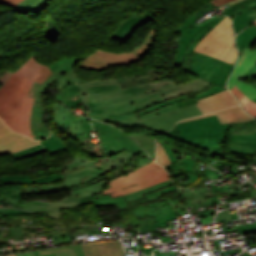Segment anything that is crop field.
I'll use <instances>...</instances> for the list:
<instances>
[{
	"label": "crop field",
	"instance_id": "0bd39190",
	"mask_svg": "<svg viewBox=\"0 0 256 256\" xmlns=\"http://www.w3.org/2000/svg\"><path fill=\"white\" fill-rule=\"evenodd\" d=\"M130 135L133 136L138 143L149 152L153 159L155 158V142L153 138L149 137V135L145 133H134Z\"/></svg>",
	"mask_w": 256,
	"mask_h": 256
},
{
	"label": "crop field",
	"instance_id": "d32e631a",
	"mask_svg": "<svg viewBox=\"0 0 256 256\" xmlns=\"http://www.w3.org/2000/svg\"><path fill=\"white\" fill-rule=\"evenodd\" d=\"M77 233H78L77 235L85 234V233H88V235H91V234L101 233V231H100V228H92V229H80V230H77ZM51 236L55 245L72 242V239L76 238L75 235H71L72 238H67V234H65V232L51 233Z\"/></svg>",
	"mask_w": 256,
	"mask_h": 256
},
{
	"label": "crop field",
	"instance_id": "1d79db26",
	"mask_svg": "<svg viewBox=\"0 0 256 256\" xmlns=\"http://www.w3.org/2000/svg\"><path fill=\"white\" fill-rule=\"evenodd\" d=\"M12 236L16 237L17 241L23 240L22 228L17 226H9Z\"/></svg>",
	"mask_w": 256,
	"mask_h": 256
},
{
	"label": "crop field",
	"instance_id": "cbeb9de0",
	"mask_svg": "<svg viewBox=\"0 0 256 256\" xmlns=\"http://www.w3.org/2000/svg\"><path fill=\"white\" fill-rule=\"evenodd\" d=\"M53 114L59 131L66 133L74 140L84 138L79 117L74 115L72 111L57 103L54 105Z\"/></svg>",
	"mask_w": 256,
	"mask_h": 256
},
{
	"label": "crop field",
	"instance_id": "28ad6ade",
	"mask_svg": "<svg viewBox=\"0 0 256 256\" xmlns=\"http://www.w3.org/2000/svg\"><path fill=\"white\" fill-rule=\"evenodd\" d=\"M200 114L201 112L194 104L181 109H176L160 115L149 117L141 120V123L144 127L153 132H162L172 129L173 125L179 120Z\"/></svg>",
	"mask_w": 256,
	"mask_h": 256
},
{
	"label": "crop field",
	"instance_id": "00972430",
	"mask_svg": "<svg viewBox=\"0 0 256 256\" xmlns=\"http://www.w3.org/2000/svg\"><path fill=\"white\" fill-rule=\"evenodd\" d=\"M80 121H81L85 139L76 140V141H78L81 148L84 150L86 154L91 156H96V157L106 156L102 148L100 147L99 143L98 142L94 143L93 141H91V139H89V136H91L89 131H93V130L90 126L88 118L80 117Z\"/></svg>",
	"mask_w": 256,
	"mask_h": 256
},
{
	"label": "crop field",
	"instance_id": "fb207236",
	"mask_svg": "<svg viewBox=\"0 0 256 256\" xmlns=\"http://www.w3.org/2000/svg\"><path fill=\"white\" fill-rule=\"evenodd\" d=\"M8 256H16L15 254H13V255H8Z\"/></svg>",
	"mask_w": 256,
	"mask_h": 256
},
{
	"label": "crop field",
	"instance_id": "89e229c0",
	"mask_svg": "<svg viewBox=\"0 0 256 256\" xmlns=\"http://www.w3.org/2000/svg\"><path fill=\"white\" fill-rule=\"evenodd\" d=\"M198 55L199 53L193 51H189V53L186 52L181 68L189 70Z\"/></svg>",
	"mask_w": 256,
	"mask_h": 256
},
{
	"label": "crop field",
	"instance_id": "d14b1444",
	"mask_svg": "<svg viewBox=\"0 0 256 256\" xmlns=\"http://www.w3.org/2000/svg\"><path fill=\"white\" fill-rule=\"evenodd\" d=\"M41 146H42V145L39 144V145H37V146H35V147H31V148L24 149V150H21V151H19V152H16V153H14V154H12V155H13V156H16V155L21 154V153H23V152H25V151H28V150H31V149H35V148H38V147H41Z\"/></svg>",
	"mask_w": 256,
	"mask_h": 256
},
{
	"label": "crop field",
	"instance_id": "0fb4a251",
	"mask_svg": "<svg viewBox=\"0 0 256 256\" xmlns=\"http://www.w3.org/2000/svg\"><path fill=\"white\" fill-rule=\"evenodd\" d=\"M236 228H237L238 234L248 233V232H256V223L255 224L244 225V226H238Z\"/></svg>",
	"mask_w": 256,
	"mask_h": 256
},
{
	"label": "crop field",
	"instance_id": "750c4746",
	"mask_svg": "<svg viewBox=\"0 0 256 256\" xmlns=\"http://www.w3.org/2000/svg\"><path fill=\"white\" fill-rule=\"evenodd\" d=\"M174 139L178 141H183L187 144L205 147V149L213 151L215 153L220 152L219 145L224 140V138H192V139L174 138Z\"/></svg>",
	"mask_w": 256,
	"mask_h": 256
},
{
	"label": "crop field",
	"instance_id": "d1516ede",
	"mask_svg": "<svg viewBox=\"0 0 256 256\" xmlns=\"http://www.w3.org/2000/svg\"><path fill=\"white\" fill-rule=\"evenodd\" d=\"M256 62V49H251L243 47L242 55L239 57L235 64V70L228 80V88L235 85L239 90H241L249 99H256V88L252 85L239 81V79L244 76L247 71Z\"/></svg>",
	"mask_w": 256,
	"mask_h": 256
},
{
	"label": "crop field",
	"instance_id": "0f1d7ab4",
	"mask_svg": "<svg viewBox=\"0 0 256 256\" xmlns=\"http://www.w3.org/2000/svg\"><path fill=\"white\" fill-rule=\"evenodd\" d=\"M221 240H225V239L214 240V242L216 243V245H217V247H218V249H219L221 255H226V254H229V253H231V252L234 251V250H232V251L222 252V250H221V248H220L221 245H220L219 242H218V241H221ZM234 252H235V251H234ZM237 254H238V253H237Z\"/></svg>",
	"mask_w": 256,
	"mask_h": 256
},
{
	"label": "crop field",
	"instance_id": "028f5c9d",
	"mask_svg": "<svg viewBox=\"0 0 256 256\" xmlns=\"http://www.w3.org/2000/svg\"><path fill=\"white\" fill-rule=\"evenodd\" d=\"M169 185H172L169 180L164 181V182H162L158 185H154V186L142 189L140 191H137V192H134V193H131V194L123 195V197L125 198V200L128 203L133 202V201H137V200H140V199L144 198L143 194L150 193V192H153V191H157L160 188H163V187H166V186H169Z\"/></svg>",
	"mask_w": 256,
	"mask_h": 256
},
{
	"label": "crop field",
	"instance_id": "d3111659",
	"mask_svg": "<svg viewBox=\"0 0 256 256\" xmlns=\"http://www.w3.org/2000/svg\"><path fill=\"white\" fill-rule=\"evenodd\" d=\"M39 256H85L82 245L37 251Z\"/></svg>",
	"mask_w": 256,
	"mask_h": 256
},
{
	"label": "crop field",
	"instance_id": "1f2cbd36",
	"mask_svg": "<svg viewBox=\"0 0 256 256\" xmlns=\"http://www.w3.org/2000/svg\"><path fill=\"white\" fill-rule=\"evenodd\" d=\"M157 162H159L161 165L165 166L170 163L163 147L160 145L159 142H157Z\"/></svg>",
	"mask_w": 256,
	"mask_h": 256
},
{
	"label": "crop field",
	"instance_id": "4a817a6b",
	"mask_svg": "<svg viewBox=\"0 0 256 256\" xmlns=\"http://www.w3.org/2000/svg\"><path fill=\"white\" fill-rule=\"evenodd\" d=\"M198 102L197 106L202 114L238 104L234 97L226 90L215 95L202 98L198 100Z\"/></svg>",
	"mask_w": 256,
	"mask_h": 256
},
{
	"label": "crop field",
	"instance_id": "a9b5d70f",
	"mask_svg": "<svg viewBox=\"0 0 256 256\" xmlns=\"http://www.w3.org/2000/svg\"><path fill=\"white\" fill-rule=\"evenodd\" d=\"M214 114L217 115V117L219 118L221 123L245 122V121L254 119V118L250 117L249 115H247L246 113H244L243 110L240 108V106L227 108V109H224L221 111L198 116V117L191 118V119L202 118V117H206V116H210V115H214ZM191 119H187V120H191ZM183 121H186V120H183Z\"/></svg>",
	"mask_w": 256,
	"mask_h": 256
},
{
	"label": "crop field",
	"instance_id": "0765c3eb",
	"mask_svg": "<svg viewBox=\"0 0 256 256\" xmlns=\"http://www.w3.org/2000/svg\"><path fill=\"white\" fill-rule=\"evenodd\" d=\"M240 0H213V1H210L213 5L219 7V6H222V5H226V4H233V3H236Z\"/></svg>",
	"mask_w": 256,
	"mask_h": 256
},
{
	"label": "crop field",
	"instance_id": "e1d0b9f6",
	"mask_svg": "<svg viewBox=\"0 0 256 256\" xmlns=\"http://www.w3.org/2000/svg\"><path fill=\"white\" fill-rule=\"evenodd\" d=\"M12 72H10V71H8V72H6L5 74H3L2 76H0V83H4L7 79H8V77H9V75L11 74Z\"/></svg>",
	"mask_w": 256,
	"mask_h": 256
},
{
	"label": "crop field",
	"instance_id": "d8731c3e",
	"mask_svg": "<svg viewBox=\"0 0 256 256\" xmlns=\"http://www.w3.org/2000/svg\"><path fill=\"white\" fill-rule=\"evenodd\" d=\"M90 121L103 145L107 156L123 150L143 153L148 156L147 152L143 150L139 145H137L135 141L127 134L122 133L121 131L115 129L112 126L94 121L92 119H90Z\"/></svg>",
	"mask_w": 256,
	"mask_h": 256
},
{
	"label": "crop field",
	"instance_id": "dafd665d",
	"mask_svg": "<svg viewBox=\"0 0 256 256\" xmlns=\"http://www.w3.org/2000/svg\"><path fill=\"white\" fill-rule=\"evenodd\" d=\"M151 18L152 15L147 12H143L141 15L133 14L110 38L126 41L136 27L146 23Z\"/></svg>",
	"mask_w": 256,
	"mask_h": 256
},
{
	"label": "crop field",
	"instance_id": "eef30255",
	"mask_svg": "<svg viewBox=\"0 0 256 256\" xmlns=\"http://www.w3.org/2000/svg\"><path fill=\"white\" fill-rule=\"evenodd\" d=\"M56 101H62L70 109L73 106L77 108L83 103L77 84H70L60 91L56 96Z\"/></svg>",
	"mask_w": 256,
	"mask_h": 256
},
{
	"label": "crop field",
	"instance_id": "f4fd0767",
	"mask_svg": "<svg viewBox=\"0 0 256 256\" xmlns=\"http://www.w3.org/2000/svg\"><path fill=\"white\" fill-rule=\"evenodd\" d=\"M170 179L166 171L156 162H151L135 171L108 181L103 194L110 193L112 198L137 191L139 189Z\"/></svg>",
	"mask_w": 256,
	"mask_h": 256
},
{
	"label": "crop field",
	"instance_id": "c3a83c6f",
	"mask_svg": "<svg viewBox=\"0 0 256 256\" xmlns=\"http://www.w3.org/2000/svg\"><path fill=\"white\" fill-rule=\"evenodd\" d=\"M251 256L249 253H248V251H246V252H244V253H242L240 256Z\"/></svg>",
	"mask_w": 256,
	"mask_h": 256
},
{
	"label": "crop field",
	"instance_id": "1d83c4d3",
	"mask_svg": "<svg viewBox=\"0 0 256 256\" xmlns=\"http://www.w3.org/2000/svg\"><path fill=\"white\" fill-rule=\"evenodd\" d=\"M256 41V27L253 23L236 36V44L241 54L242 46L250 47Z\"/></svg>",
	"mask_w": 256,
	"mask_h": 256
},
{
	"label": "crop field",
	"instance_id": "9d1cf04e",
	"mask_svg": "<svg viewBox=\"0 0 256 256\" xmlns=\"http://www.w3.org/2000/svg\"><path fill=\"white\" fill-rule=\"evenodd\" d=\"M213 8H216L214 7L210 2L207 3L205 6H203L202 8L196 10L194 12L195 15L201 17L202 15H204L205 12L209 11V10H213Z\"/></svg>",
	"mask_w": 256,
	"mask_h": 256
},
{
	"label": "crop field",
	"instance_id": "34b2d1b8",
	"mask_svg": "<svg viewBox=\"0 0 256 256\" xmlns=\"http://www.w3.org/2000/svg\"><path fill=\"white\" fill-rule=\"evenodd\" d=\"M176 190L175 186L166 187L163 189H160L157 192H153L151 194L144 195L145 199L137 202H133L128 204L122 196L112 199L110 194L101 196V194L92 196L89 198L81 199V205L86 203L93 202L94 205H103V204H116L118 210H126L128 207L126 205H132L136 203L146 202V201H153L158 198V196L162 193H168L171 191ZM134 217L141 218V217H149L152 216L155 223L158 227H161L160 225H167L165 220H174L176 217V214L174 213L167 197L161 201L140 205V206H134L130 208Z\"/></svg>",
	"mask_w": 256,
	"mask_h": 256
},
{
	"label": "crop field",
	"instance_id": "b80d0937",
	"mask_svg": "<svg viewBox=\"0 0 256 256\" xmlns=\"http://www.w3.org/2000/svg\"><path fill=\"white\" fill-rule=\"evenodd\" d=\"M232 92L239 102L241 103L242 107L250 113L252 116L256 117V103L250 101L241 91H239L235 86L230 91Z\"/></svg>",
	"mask_w": 256,
	"mask_h": 256
},
{
	"label": "crop field",
	"instance_id": "ade564c9",
	"mask_svg": "<svg viewBox=\"0 0 256 256\" xmlns=\"http://www.w3.org/2000/svg\"><path fill=\"white\" fill-rule=\"evenodd\" d=\"M17 256H35L33 252L16 254Z\"/></svg>",
	"mask_w": 256,
	"mask_h": 256
},
{
	"label": "crop field",
	"instance_id": "425ffa30",
	"mask_svg": "<svg viewBox=\"0 0 256 256\" xmlns=\"http://www.w3.org/2000/svg\"><path fill=\"white\" fill-rule=\"evenodd\" d=\"M256 132V121L246 124V125H235L233 129V134H248Z\"/></svg>",
	"mask_w": 256,
	"mask_h": 256
},
{
	"label": "crop field",
	"instance_id": "dd49c442",
	"mask_svg": "<svg viewBox=\"0 0 256 256\" xmlns=\"http://www.w3.org/2000/svg\"><path fill=\"white\" fill-rule=\"evenodd\" d=\"M204 47H207L206 49ZM194 51L234 64L238 51L234 43L231 18L221 20L194 48Z\"/></svg>",
	"mask_w": 256,
	"mask_h": 256
},
{
	"label": "crop field",
	"instance_id": "7312dd0a",
	"mask_svg": "<svg viewBox=\"0 0 256 256\" xmlns=\"http://www.w3.org/2000/svg\"><path fill=\"white\" fill-rule=\"evenodd\" d=\"M253 86H255L256 87V84L255 85H253ZM255 102H256V100H254Z\"/></svg>",
	"mask_w": 256,
	"mask_h": 256
},
{
	"label": "crop field",
	"instance_id": "22f410ed",
	"mask_svg": "<svg viewBox=\"0 0 256 256\" xmlns=\"http://www.w3.org/2000/svg\"><path fill=\"white\" fill-rule=\"evenodd\" d=\"M55 79L56 76L51 74L42 84L33 82V85L30 89L29 96L35 97L31 114V130L35 139H43L50 135V132L45 127L43 122L41 92L44 88L54 82Z\"/></svg>",
	"mask_w": 256,
	"mask_h": 256
},
{
	"label": "crop field",
	"instance_id": "4177f3b9",
	"mask_svg": "<svg viewBox=\"0 0 256 256\" xmlns=\"http://www.w3.org/2000/svg\"><path fill=\"white\" fill-rule=\"evenodd\" d=\"M219 60L208 55L200 53L190 71L196 73L197 76L207 80L213 69L218 65Z\"/></svg>",
	"mask_w": 256,
	"mask_h": 256
},
{
	"label": "crop field",
	"instance_id": "c21b1889",
	"mask_svg": "<svg viewBox=\"0 0 256 256\" xmlns=\"http://www.w3.org/2000/svg\"><path fill=\"white\" fill-rule=\"evenodd\" d=\"M255 9H252L248 12L236 15L234 18V30L235 33H238L239 31L243 30V28H245L247 25H249L251 23L250 19L247 17L246 14L251 13V12H255Z\"/></svg>",
	"mask_w": 256,
	"mask_h": 256
},
{
	"label": "crop field",
	"instance_id": "5a996713",
	"mask_svg": "<svg viewBox=\"0 0 256 256\" xmlns=\"http://www.w3.org/2000/svg\"><path fill=\"white\" fill-rule=\"evenodd\" d=\"M154 35L155 29L153 27L143 43L135 50L117 54L97 50L88 56L79 66L92 69H106L108 65L127 64L137 61L139 60L137 56L149 44Z\"/></svg>",
	"mask_w": 256,
	"mask_h": 256
},
{
	"label": "crop field",
	"instance_id": "e1f06a70",
	"mask_svg": "<svg viewBox=\"0 0 256 256\" xmlns=\"http://www.w3.org/2000/svg\"><path fill=\"white\" fill-rule=\"evenodd\" d=\"M256 7V0H243L241 2H238L232 7L225 9V15H230L234 18V16L238 13L245 12L247 10H250L252 8Z\"/></svg>",
	"mask_w": 256,
	"mask_h": 256
},
{
	"label": "crop field",
	"instance_id": "7b73153f",
	"mask_svg": "<svg viewBox=\"0 0 256 256\" xmlns=\"http://www.w3.org/2000/svg\"><path fill=\"white\" fill-rule=\"evenodd\" d=\"M250 77H256V63L255 65L248 71V73L242 77V78H250Z\"/></svg>",
	"mask_w": 256,
	"mask_h": 256
},
{
	"label": "crop field",
	"instance_id": "b54c1fbb",
	"mask_svg": "<svg viewBox=\"0 0 256 256\" xmlns=\"http://www.w3.org/2000/svg\"><path fill=\"white\" fill-rule=\"evenodd\" d=\"M132 224L134 227L140 226L142 233L153 232L155 230H158L152 217L144 218V220L139 222H132Z\"/></svg>",
	"mask_w": 256,
	"mask_h": 256
},
{
	"label": "crop field",
	"instance_id": "db79e9e6",
	"mask_svg": "<svg viewBox=\"0 0 256 256\" xmlns=\"http://www.w3.org/2000/svg\"><path fill=\"white\" fill-rule=\"evenodd\" d=\"M165 168L186 171V168H185L183 162H181V161H178V162H175L173 164L167 165V166H165Z\"/></svg>",
	"mask_w": 256,
	"mask_h": 256
},
{
	"label": "crop field",
	"instance_id": "25e5ab78",
	"mask_svg": "<svg viewBox=\"0 0 256 256\" xmlns=\"http://www.w3.org/2000/svg\"><path fill=\"white\" fill-rule=\"evenodd\" d=\"M23 99H24V97L21 96V98L19 99V101L17 102V104H16L13 108H11V109H9L7 112H5L3 115H1L0 117H1L5 122H6V121H9V120H11V119H13V118H15V117H17L18 114H19L20 105H21Z\"/></svg>",
	"mask_w": 256,
	"mask_h": 256
},
{
	"label": "crop field",
	"instance_id": "d23c7cc5",
	"mask_svg": "<svg viewBox=\"0 0 256 256\" xmlns=\"http://www.w3.org/2000/svg\"><path fill=\"white\" fill-rule=\"evenodd\" d=\"M45 2H46V0H23L15 7L32 12V11L36 10L37 8H39Z\"/></svg>",
	"mask_w": 256,
	"mask_h": 256
},
{
	"label": "crop field",
	"instance_id": "92a150f3",
	"mask_svg": "<svg viewBox=\"0 0 256 256\" xmlns=\"http://www.w3.org/2000/svg\"><path fill=\"white\" fill-rule=\"evenodd\" d=\"M176 108H178V106L175 103L173 105H169V106L160 108L154 112H151V113L139 116V117L137 116L136 113H131V114H127V115H123V116H119V117L108 118L105 120H103L102 118H98V117H94V116H90V115L89 116L93 117L95 119L101 120L103 122H106V121L117 122L125 127H138V126H141L139 120L147 118V117L155 115V114H160V113L168 111V110L176 109Z\"/></svg>",
	"mask_w": 256,
	"mask_h": 256
},
{
	"label": "crop field",
	"instance_id": "3316defc",
	"mask_svg": "<svg viewBox=\"0 0 256 256\" xmlns=\"http://www.w3.org/2000/svg\"><path fill=\"white\" fill-rule=\"evenodd\" d=\"M246 123L221 124L218 118L216 117V115H214V116H210L202 119L186 121L176 125H178L179 127L182 138H191V137H225L226 131L229 129L231 124H246Z\"/></svg>",
	"mask_w": 256,
	"mask_h": 256
},
{
	"label": "crop field",
	"instance_id": "78b8030e",
	"mask_svg": "<svg viewBox=\"0 0 256 256\" xmlns=\"http://www.w3.org/2000/svg\"><path fill=\"white\" fill-rule=\"evenodd\" d=\"M21 0H0V4H6V5H11L15 6L18 4Z\"/></svg>",
	"mask_w": 256,
	"mask_h": 256
},
{
	"label": "crop field",
	"instance_id": "c035e120",
	"mask_svg": "<svg viewBox=\"0 0 256 256\" xmlns=\"http://www.w3.org/2000/svg\"><path fill=\"white\" fill-rule=\"evenodd\" d=\"M181 161H183V162L185 163V165H186V167H187V172H189V173H194V172H193L194 168H195L196 166L200 165V164H198V163L196 162V161H198V160H196V159H194V158H192V157H190V156H188V157L182 159ZM198 175H201V176H210V177H212V178L217 179L220 174H219L218 172H216V171L211 170V169H206L204 174H198Z\"/></svg>",
	"mask_w": 256,
	"mask_h": 256
},
{
	"label": "crop field",
	"instance_id": "d9b57169",
	"mask_svg": "<svg viewBox=\"0 0 256 256\" xmlns=\"http://www.w3.org/2000/svg\"><path fill=\"white\" fill-rule=\"evenodd\" d=\"M80 58L85 59L86 57L81 56V57H70V58H66V59H60V60L56 61L55 63L49 65L53 74H55L58 77V79H57L58 92L70 83L81 82V80L75 74V71L73 68L75 62H77Z\"/></svg>",
	"mask_w": 256,
	"mask_h": 256
},
{
	"label": "crop field",
	"instance_id": "dbb93151",
	"mask_svg": "<svg viewBox=\"0 0 256 256\" xmlns=\"http://www.w3.org/2000/svg\"><path fill=\"white\" fill-rule=\"evenodd\" d=\"M0 218L4 215L33 214V212L17 210V209H0Z\"/></svg>",
	"mask_w": 256,
	"mask_h": 256
},
{
	"label": "crop field",
	"instance_id": "733c2abd",
	"mask_svg": "<svg viewBox=\"0 0 256 256\" xmlns=\"http://www.w3.org/2000/svg\"><path fill=\"white\" fill-rule=\"evenodd\" d=\"M222 90H224V89L210 84L208 87H206L204 89H201L199 91H194V92H191L189 94H186V95H183V96H180V97H176V98L170 99V100L165 101V102L158 103L156 105H153V106H150L148 108L142 109V110L138 111L137 113H138V115H142V114L151 112V111H153L157 108L172 104L174 102H176L177 105L179 106V108H181V107L186 106V105L197 103L196 100L199 99V98H202V97H205V96H208V95H211V94H215V93H217L219 91H222Z\"/></svg>",
	"mask_w": 256,
	"mask_h": 256
},
{
	"label": "crop field",
	"instance_id": "c5b07064",
	"mask_svg": "<svg viewBox=\"0 0 256 256\" xmlns=\"http://www.w3.org/2000/svg\"><path fill=\"white\" fill-rule=\"evenodd\" d=\"M249 18H253V17H256V12L255 13H252V14H248Z\"/></svg>",
	"mask_w": 256,
	"mask_h": 256
},
{
	"label": "crop field",
	"instance_id": "ae1a2a85",
	"mask_svg": "<svg viewBox=\"0 0 256 256\" xmlns=\"http://www.w3.org/2000/svg\"><path fill=\"white\" fill-rule=\"evenodd\" d=\"M79 202L78 196L73 195L65 196L60 201L49 202L48 214L60 219V209L78 207L80 206Z\"/></svg>",
	"mask_w": 256,
	"mask_h": 256
},
{
	"label": "crop field",
	"instance_id": "8a807250",
	"mask_svg": "<svg viewBox=\"0 0 256 256\" xmlns=\"http://www.w3.org/2000/svg\"><path fill=\"white\" fill-rule=\"evenodd\" d=\"M136 74L79 83L89 114L108 118L156 104L170 98L206 87L209 83L198 77L178 84L172 76L123 88L121 83L149 78Z\"/></svg>",
	"mask_w": 256,
	"mask_h": 256
},
{
	"label": "crop field",
	"instance_id": "412701ff",
	"mask_svg": "<svg viewBox=\"0 0 256 256\" xmlns=\"http://www.w3.org/2000/svg\"><path fill=\"white\" fill-rule=\"evenodd\" d=\"M35 58L30 57L0 88V114L13 107L21 95H28L33 80L42 83L52 73Z\"/></svg>",
	"mask_w": 256,
	"mask_h": 256
},
{
	"label": "crop field",
	"instance_id": "c39391a2",
	"mask_svg": "<svg viewBox=\"0 0 256 256\" xmlns=\"http://www.w3.org/2000/svg\"><path fill=\"white\" fill-rule=\"evenodd\" d=\"M49 5V2H46L44 5H42L39 9L35 11V13H41L47 6Z\"/></svg>",
	"mask_w": 256,
	"mask_h": 256
},
{
	"label": "crop field",
	"instance_id": "ac0d7876",
	"mask_svg": "<svg viewBox=\"0 0 256 256\" xmlns=\"http://www.w3.org/2000/svg\"><path fill=\"white\" fill-rule=\"evenodd\" d=\"M127 154V152H124L110 158H100L102 159L99 163L101 166L95 164L99 159L91 161L85 157H75L71 164L62 167L64 173L38 177L34 179H31L30 175L0 177V184L42 183L52 182L62 178V181L64 182L62 184L45 186L34 185L27 189L21 187L22 192L46 193L64 189L66 187H68V190H72L102 180L99 175L114 168L117 163L121 161Z\"/></svg>",
	"mask_w": 256,
	"mask_h": 256
},
{
	"label": "crop field",
	"instance_id": "73cf0c24",
	"mask_svg": "<svg viewBox=\"0 0 256 256\" xmlns=\"http://www.w3.org/2000/svg\"><path fill=\"white\" fill-rule=\"evenodd\" d=\"M232 142H239V143H253L256 142V133L249 134V135H233L231 134Z\"/></svg>",
	"mask_w": 256,
	"mask_h": 256
},
{
	"label": "crop field",
	"instance_id": "e52e79f7",
	"mask_svg": "<svg viewBox=\"0 0 256 256\" xmlns=\"http://www.w3.org/2000/svg\"><path fill=\"white\" fill-rule=\"evenodd\" d=\"M224 16L216 17L197 24L199 17L191 15L175 32L180 33L177 54L173 65L180 66L186 49L193 50L194 46L221 20Z\"/></svg>",
	"mask_w": 256,
	"mask_h": 256
},
{
	"label": "crop field",
	"instance_id": "5866460e",
	"mask_svg": "<svg viewBox=\"0 0 256 256\" xmlns=\"http://www.w3.org/2000/svg\"><path fill=\"white\" fill-rule=\"evenodd\" d=\"M104 184H105V182H104V180H102V181L93 183L91 185L72 190L69 193L73 194V195H79L80 199L89 197V196H92L95 194H99V191L104 186Z\"/></svg>",
	"mask_w": 256,
	"mask_h": 256
},
{
	"label": "crop field",
	"instance_id": "5142ce71",
	"mask_svg": "<svg viewBox=\"0 0 256 256\" xmlns=\"http://www.w3.org/2000/svg\"><path fill=\"white\" fill-rule=\"evenodd\" d=\"M39 144L22 134L13 132L0 119V155Z\"/></svg>",
	"mask_w": 256,
	"mask_h": 256
},
{
	"label": "crop field",
	"instance_id": "ae633e8c",
	"mask_svg": "<svg viewBox=\"0 0 256 256\" xmlns=\"http://www.w3.org/2000/svg\"><path fill=\"white\" fill-rule=\"evenodd\" d=\"M154 41V38L152 39V41L150 42V44L145 48V50L138 56L139 58H142L143 56H145L147 54V52L149 51L152 42Z\"/></svg>",
	"mask_w": 256,
	"mask_h": 256
},
{
	"label": "crop field",
	"instance_id": "447ae74e",
	"mask_svg": "<svg viewBox=\"0 0 256 256\" xmlns=\"http://www.w3.org/2000/svg\"><path fill=\"white\" fill-rule=\"evenodd\" d=\"M161 144L163 145V147H164L167 155L169 156L171 162L173 163V162L177 161V158H176L175 154L173 153V151L170 149V147L164 142H161Z\"/></svg>",
	"mask_w": 256,
	"mask_h": 256
},
{
	"label": "crop field",
	"instance_id": "120bbe31",
	"mask_svg": "<svg viewBox=\"0 0 256 256\" xmlns=\"http://www.w3.org/2000/svg\"><path fill=\"white\" fill-rule=\"evenodd\" d=\"M40 142L44 146L45 150L48 151L49 155L59 151H70L65 142L54 133H52V136L48 139Z\"/></svg>",
	"mask_w": 256,
	"mask_h": 256
},
{
	"label": "crop field",
	"instance_id": "214f88e0",
	"mask_svg": "<svg viewBox=\"0 0 256 256\" xmlns=\"http://www.w3.org/2000/svg\"><path fill=\"white\" fill-rule=\"evenodd\" d=\"M33 100L34 98L25 97L21 105L19 117L7 122V125L13 130L28 135L30 137H32L30 131V113L32 110Z\"/></svg>",
	"mask_w": 256,
	"mask_h": 256
},
{
	"label": "crop field",
	"instance_id": "bd1437ed",
	"mask_svg": "<svg viewBox=\"0 0 256 256\" xmlns=\"http://www.w3.org/2000/svg\"><path fill=\"white\" fill-rule=\"evenodd\" d=\"M232 69V65L220 61L219 65L216 66L208 80L222 87L228 76L231 74Z\"/></svg>",
	"mask_w": 256,
	"mask_h": 256
},
{
	"label": "crop field",
	"instance_id": "5d738f31",
	"mask_svg": "<svg viewBox=\"0 0 256 256\" xmlns=\"http://www.w3.org/2000/svg\"><path fill=\"white\" fill-rule=\"evenodd\" d=\"M48 202L45 201H27L24 202V209L44 212L47 214Z\"/></svg>",
	"mask_w": 256,
	"mask_h": 256
},
{
	"label": "crop field",
	"instance_id": "03da06ac",
	"mask_svg": "<svg viewBox=\"0 0 256 256\" xmlns=\"http://www.w3.org/2000/svg\"><path fill=\"white\" fill-rule=\"evenodd\" d=\"M229 148L232 151V153L253 154L254 152H256V143L238 144L231 142Z\"/></svg>",
	"mask_w": 256,
	"mask_h": 256
},
{
	"label": "crop field",
	"instance_id": "730fd06b",
	"mask_svg": "<svg viewBox=\"0 0 256 256\" xmlns=\"http://www.w3.org/2000/svg\"><path fill=\"white\" fill-rule=\"evenodd\" d=\"M5 199L7 204L16 208H23L20 184L0 185V200Z\"/></svg>",
	"mask_w": 256,
	"mask_h": 256
},
{
	"label": "crop field",
	"instance_id": "bc2a9ffb",
	"mask_svg": "<svg viewBox=\"0 0 256 256\" xmlns=\"http://www.w3.org/2000/svg\"><path fill=\"white\" fill-rule=\"evenodd\" d=\"M82 245L86 256H125L121 243L116 240Z\"/></svg>",
	"mask_w": 256,
	"mask_h": 256
},
{
	"label": "crop field",
	"instance_id": "180be81f",
	"mask_svg": "<svg viewBox=\"0 0 256 256\" xmlns=\"http://www.w3.org/2000/svg\"><path fill=\"white\" fill-rule=\"evenodd\" d=\"M254 25L256 26V22H254Z\"/></svg>",
	"mask_w": 256,
	"mask_h": 256
}]
</instances>
